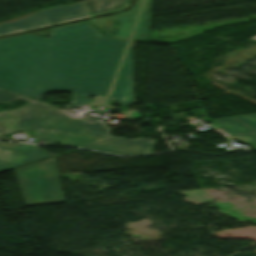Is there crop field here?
Segmentation results:
<instances>
[{"instance_id":"d8731c3e","label":"crop field","mask_w":256,"mask_h":256,"mask_svg":"<svg viewBox=\"0 0 256 256\" xmlns=\"http://www.w3.org/2000/svg\"><path fill=\"white\" fill-rule=\"evenodd\" d=\"M129 0H87L91 15H99L123 9Z\"/></svg>"},{"instance_id":"dd49c442","label":"crop field","mask_w":256,"mask_h":256,"mask_svg":"<svg viewBox=\"0 0 256 256\" xmlns=\"http://www.w3.org/2000/svg\"><path fill=\"white\" fill-rule=\"evenodd\" d=\"M52 156L37 145L0 142V172Z\"/></svg>"},{"instance_id":"34b2d1b8","label":"crop field","mask_w":256,"mask_h":256,"mask_svg":"<svg viewBox=\"0 0 256 256\" xmlns=\"http://www.w3.org/2000/svg\"><path fill=\"white\" fill-rule=\"evenodd\" d=\"M15 171L26 205L65 202L55 157Z\"/></svg>"},{"instance_id":"f4fd0767","label":"crop field","mask_w":256,"mask_h":256,"mask_svg":"<svg viewBox=\"0 0 256 256\" xmlns=\"http://www.w3.org/2000/svg\"><path fill=\"white\" fill-rule=\"evenodd\" d=\"M88 16L90 15L85 2L72 6H58L0 24V35Z\"/></svg>"},{"instance_id":"3316defc","label":"crop field","mask_w":256,"mask_h":256,"mask_svg":"<svg viewBox=\"0 0 256 256\" xmlns=\"http://www.w3.org/2000/svg\"><path fill=\"white\" fill-rule=\"evenodd\" d=\"M110 103H111L110 101L94 100V101L91 102L90 106H92V105L105 106L104 111H107Z\"/></svg>"},{"instance_id":"e52e79f7","label":"crop field","mask_w":256,"mask_h":256,"mask_svg":"<svg viewBox=\"0 0 256 256\" xmlns=\"http://www.w3.org/2000/svg\"><path fill=\"white\" fill-rule=\"evenodd\" d=\"M218 127L256 149V113L215 120Z\"/></svg>"},{"instance_id":"8a807250","label":"crop field","mask_w":256,"mask_h":256,"mask_svg":"<svg viewBox=\"0 0 256 256\" xmlns=\"http://www.w3.org/2000/svg\"><path fill=\"white\" fill-rule=\"evenodd\" d=\"M35 32L48 35L49 29ZM0 89L35 99L73 91V105L82 108L91 95L133 105L132 40L104 37L87 21L52 28L50 38L0 39Z\"/></svg>"},{"instance_id":"5a996713","label":"crop field","mask_w":256,"mask_h":256,"mask_svg":"<svg viewBox=\"0 0 256 256\" xmlns=\"http://www.w3.org/2000/svg\"><path fill=\"white\" fill-rule=\"evenodd\" d=\"M111 109H114V108L110 106L108 111H111ZM113 112H119V111H113ZM124 116L129 117L128 119H140L141 113L125 112Z\"/></svg>"},{"instance_id":"412701ff","label":"crop field","mask_w":256,"mask_h":256,"mask_svg":"<svg viewBox=\"0 0 256 256\" xmlns=\"http://www.w3.org/2000/svg\"><path fill=\"white\" fill-rule=\"evenodd\" d=\"M152 0H138L135 7L113 16L91 19L102 32L113 36V21L118 20V35L113 37L148 40Z\"/></svg>"},{"instance_id":"ac0d7876","label":"crop field","mask_w":256,"mask_h":256,"mask_svg":"<svg viewBox=\"0 0 256 256\" xmlns=\"http://www.w3.org/2000/svg\"><path fill=\"white\" fill-rule=\"evenodd\" d=\"M25 99L29 104L10 112L0 113V138L5 134L36 130L34 138L45 144H64L122 154H152L153 140L124 139L110 136L104 122L65 112L46 103L0 90V102Z\"/></svg>"}]
</instances>
